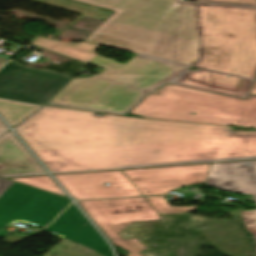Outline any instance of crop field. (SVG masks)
<instances>
[{
    "mask_svg": "<svg viewBox=\"0 0 256 256\" xmlns=\"http://www.w3.org/2000/svg\"><path fill=\"white\" fill-rule=\"evenodd\" d=\"M205 183L219 190L253 195L256 202V161L212 164Z\"/></svg>",
    "mask_w": 256,
    "mask_h": 256,
    "instance_id": "crop-field-11",
    "label": "crop field"
},
{
    "mask_svg": "<svg viewBox=\"0 0 256 256\" xmlns=\"http://www.w3.org/2000/svg\"><path fill=\"white\" fill-rule=\"evenodd\" d=\"M10 180H14L26 185H30L59 196H63V197L67 196V195L65 196V194L58 188V186L51 180L49 176L12 178Z\"/></svg>",
    "mask_w": 256,
    "mask_h": 256,
    "instance_id": "crop-field-15",
    "label": "crop field"
},
{
    "mask_svg": "<svg viewBox=\"0 0 256 256\" xmlns=\"http://www.w3.org/2000/svg\"><path fill=\"white\" fill-rule=\"evenodd\" d=\"M31 44L86 63L97 55L93 51L99 47V45L86 42L72 44L60 41H51L42 37H38Z\"/></svg>",
    "mask_w": 256,
    "mask_h": 256,
    "instance_id": "crop-field-13",
    "label": "crop field"
},
{
    "mask_svg": "<svg viewBox=\"0 0 256 256\" xmlns=\"http://www.w3.org/2000/svg\"><path fill=\"white\" fill-rule=\"evenodd\" d=\"M43 107L16 128L52 174L256 159V132Z\"/></svg>",
    "mask_w": 256,
    "mask_h": 256,
    "instance_id": "crop-field-1",
    "label": "crop field"
},
{
    "mask_svg": "<svg viewBox=\"0 0 256 256\" xmlns=\"http://www.w3.org/2000/svg\"><path fill=\"white\" fill-rule=\"evenodd\" d=\"M70 203L66 198L15 182L0 195V233L14 221L44 228Z\"/></svg>",
    "mask_w": 256,
    "mask_h": 256,
    "instance_id": "crop-field-6",
    "label": "crop field"
},
{
    "mask_svg": "<svg viewBox=\"0 0 256 256\" xmlns=\"http://www.w3.org/2000/svg\"><path fill=\"white\" fill-rule=\"evenodd\" d=\"M38 164L11 131L0 137V176L46 174Z\"/></svg>",
    "mask_w": 256,
    "mask_h": 256,
    "instance_id": "crop-field-12",
    "label": "crop field"
},
{
    "mask_svg": "<svg viewBox=\"0 0 256 256\" xmlns=\"http://www.w3.org/2000/svg\"><path fill=\"white\" fill-rule=\"evenodd\" d=\"M83 223L86 225L83 226ZM45 230L76 243H81L102 256H112L107 243L73 204Z\"/></svg>",
    "mask_w": 256,
    "mask_h": 256,
    "instance_id": "crop-field-10",
    "label": "crop field"
},
{
    "mask_svg": "<svg viewBox=\"0 0 256 256\" xmlns=\"http://www.w3.org/2000/svg\"><path fill=\"white\" fill-rule=\"evenodd\" d=\"M211 164L122 171L143 196L168 194L191 184H204Z\"/></svg>",
    "mask_w": 256,
    "mask_h": 256,
    "instance_id": "crop-field-8",
    "label": "crop field"
},
{
    "mask_svg": "<svg viewBox=\"0 0 256 256\" xmlns=\"http://www.w3.org/2000/svg\"><path fill=\"white\" fill-rule=\"evenodd\" d=\"M243 223L245 224L246 231L253 235L256 243V210L241 211ZM256 249V247H255Z\"/></svg>",
    "mask_w": 256,
    "mask_h": 256,
    "instance_id": "crop-field-17",
    "label": "crop field"
},
{
    "mask_svg": "<svg viewBox=\"0 0 256 256\" xmlns=\"http://www.w3.org/2000/svg\"><path fill=\"white\" fill-rule=\"evenodd\" d=\"M130 114L143 118L256 128V96L238 100L168 84Z\"/></svg>",
    "mask_w": 256,
    "mask_h": 256,
    "instance_id": "crop-field-4",
    "label": "crop field"
},
{
    "mask_svg": "<svg viewBox=\"0 0 256 256\" xmlns=\"http://www.w3.org/2000/svg\"><path fill=\"white\" fill-rule=\"evenodd\" d=\"M5 62H7V59L0 58V66H2Z\"/></svg>",
    "mask_w": 256,
    "mask_h": 256,
    "instance_id": "crop-field-21",
    "label": "crop field"
},
{
    "mask_svg": "<svg viewBox=\"0 0 256 256\" xmlns=\"http://www.w3.org/2000/svg\"><path fill=\"white\" fill-rule=\"evenodd\" d=\"M55 177L76 200L142 196L121 171L66 174ZM103 183H109V186H103Z\"/></svg>",
    "mask_w": 256,
    "mask_h": 256,
    "instance_id": "crop-field-9",
    "label": "crop field"
},
{
    "mask_svg": "<svg viewBox=\"0 0 256 256\" xmlns=\"http://www.w3.org/2000/svg\"><path fill=\"white\" fill-rule=\"evenodd\" d=\"M8 129H7V127H6V125L2 122V120L0 119V135L2 134V133H4L5 131H7Z\"/></svg>",
    "mask_w": 256,
    "mask_h": 256,
    "instance_id": "crop-field-19",
    "label": "crop field"
},
{
    "mask_svg": "<svg viewBox=\"0 0 256 256\" xmlns=\"http://www.w3.org/2000/svg\"><path fill=\"white\" fill-rule=\"evenodd\" d=\"M37 108L38 106L0 100V113L12 126Z\"/></svg>",
    "mask_w": 256,
    "mask_h": 256,
    "instance_id": "crop-field-14",
    "label": "crop field"
},
{
    "mask_svg": "<svg viewBox=\"0 0 256 256\" xmlns=\"http://www.w3.org/2000/svg\"><path fill=\"white\" fill-rule=\"evenodd\" d=\"M89 217L106 234L115 246L129 251L127 256H144L145 250L137 238L123 240L119 233L131 222L161 220L159 214L145 198L78 202Z\"/></svg>",
    "mask_w": 256,
    "mask_h": 256,
    "instance_id": "crop-field-5",
    "label": "crop field"
},
{
    "mask_svg": "<svg viewBox=\"0 0 256 256\" xmlns=\"http://www.w3.org/2000/svg\"><path fill=\"white\" fill-rule=\"evenodd\" d=\"M70 79L9 62L0 70V98L43 105Z\"/></svg>",
    "mask_w": 256,
    "mask_h": 256,
    "instance_id": "crop-field-7",
    "label": "crop field"
},
{
    "mask_svg": "<svg viewBox=\"0 0 256 256\" xmlns=\"http://www.w3.org/2000/svg\"><path fill=\"white\" fill-rule=\"evenodd\" d=\"M89 64L97 75L72 79L46 104L125 115L147 93L177 77L173 84L246 98L252 80L137 55L124 64L97 55Z\"/></svg>",
    "mask_w": 256,
    "mask_h": 256,
    "instance_id": "crop-field-3",
    "label": "crop field"
},
{
    "mask_svg": "<svg viewBox=\"0 0 256 256\" xmlns=\"http://www.w3.org/2000/svg\"><path fill=\"white\" fill-rule=\"evenodd\" d=\"M13 182L4 180L0 178V194L5 191L10 185H12ZM4 193V192H3Z\"/></svg>",
    "mask_w": 256,
    "mask_h": 256,
    "instance_id": "crop-field-18",
    "label": "crop field"
},
{
    "mask_svg": "<svg viewBox=\"0 0 256 256\" xmlns=\"http://www.w3.org/2000/svg\"><path fill=\"white\" fill-rule=\"evenodd\" d=\"M250 94H256V81L254 83V86H253L252 91H251Z\"/></svg>",
    "mask_w": 256,
    "mask_h": 256,
    "instance_id": "crop-field-20",
    "label": "crop field"
},
{
    "mask_svg": "<svg viewBox=\"0 0 256 256\" xmlns=\"http://www.w3.org/2000/svg\"><path fill=\"white\" fill-rule=\"evenodd\" d=\"M146 199L157 210L159 214L186 213L197 209V206L172 207L170 204L166 202L164 196L148 197Z\"/></svg>",
    "mask_w": 256,
    "mask_h": 256,
    "instance_id": "crop-field-16",
    "label": "crop field"
},
{
    "mask_svg": "<svg viewBox=\"0 0 256 256\" xmlns=\"http://www.w3.org/2000/svg\"><path fill=\"white\" fill-rule=\"evenodd\" d=\"M115 13L85 41L248 79L256 0H76Z\"/></svg>",
    "mask_w": 256,
    "mask_h": 256,
    "instance_id": "crop-field-2",
    "label": "crop field"
}]
</instances>
